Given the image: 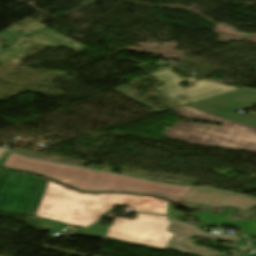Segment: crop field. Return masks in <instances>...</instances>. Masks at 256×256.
<instances>
[{"mask_svg":"<svg viewBox=\"0 0 256 256\" xmlns=\"http://www.w3.org/2000/svg\"><path fill=\"white\" fill-rule=\"evenodd\" d=\"M3 167L31 171L87 192L120 191L163 196L180 202L190 188L156 184L121 176L33 160L11 153Z\"/></svg>","mask_w":256,"mask_h":256,"instance_id":"1","label":"crop field"},{"mask_svg":"<svg viewBox=\"0 0 256 256\" xmlns=\"http://www.w3.org/2000/svg\"><path fill=\"white\" fill-rule=\"evenodd\" d=\"M123 195L76 192L49 180L36 215L43 218V228L52 232L64 228L67 224L86 227L115 205H120Z\"/></svg>","mask_w":256,"mask_h":256,"instance_id":"2","label":"crop field"},{"mask_svg":"<svg viewBox=\"0 0 256 256\" xmlns=\"http://www.w3.org/2000/svg\"><path fill=\"white\" fill-rule=\"evenodd\" d=\"M216 125H186L179 121L173 129H165L164 135L181 141L222 146L233 149H248L256 152V130L229 120Z\"/></svg>","mask_w":256,"mask_h":256,"instance_id":"3","label":"crop field"},{"mask_svg":"<svg viewBox=\"0 0 256 256\" xmlns=\"http://www.w3.org/2000/svg\"><path fill=\"white\" fill-rule=\"evenodd\" d=\"M134 220L116 218L106 234V239L141 245L156 249H165L173 233L166 229L170 221L167 217L137 213Z\"/></svg>","mask_w":256,"mask_h":256,"instance_id":"4","label":"crop field"},{"mask_svg":"<svg viewBox=\"0 0 256 256\" xmlns=\"http://www.w3.org/2000/svg\"><path fill=\"white\" fill-rule=\"evenodd\" d=\"M45 181L27 173L1 169L0 211L35 215L47 186Z\"/></svg>","mask_w":256,"mask_h":256,"instance_id":"5","label":"crop field"},{"mask_svg":"<svg viewBox=\"0 0 256 256\" xmlns=\"http://www.w3.org/2000/svg\"><path fill=\"white\" fill-rule=\"evenodd\" d=\"M243 99L250 100L240 101ZM212 100H215V102ZM254 104H256V91L240 88L189 104V106L256 129V113L250 111L244 116L232 113L237 109L251 107Z\"/></svg>","mask_w":256,"mask_h":256,"instance_id":"6","label":"crop field"},{"mask_svg":"<svg viewBox=\"0 0 256 256\" xmlns=\"http://www.w3.org/2000/svg\"><path fill=\"white\" fill-rule=\"evenodd\" d=\"M168 219L172 221L168 231H172L175 235L172 241L169 242L166 249L207 256V255H213V254H219V253L205 249V248L197 247L191 241L190 239L191 236H197V237L215 239V240L233 241V242H238L239 240V238L236 235L206 234V233H202L198 227L186 225L184 223L178 222L169 217Z\"/></svg>","mask_w":256,"mask_h":256,"instance_id":"7","label":"crop field"},{"mask_svg":"<svg viewBox=\"0 0 256 256\" xmlns=\"http://www.w3.org/2000/svg\"><path fill=\"white\" fill-rule=\"evenodd\" d=\"M182 200L211 207L233 206L241 210L256 206L255 199L197 188H191Z\"/></svg>","mask_w":256,"mask_h":256,"instance_id":"8","label":"crop field"},{"mask_svg":"<svg viewBox=\"0 0 256 256\" xmlns=\"http://www.w3.org/2000/svg\"><path fill=\"white\" fill-rule=\"evenodd\" d=\"M133 210L167 215L168 201L144 195L125 194L122 204Z\"/></svg>","mask_w":256,"mask_h":256,"instance_id":"9","label":"crop field"},{"mask_svg":"<svg viewBox=\"0 0 256 256\" xmlns=\"http://www.w3.org/2000/svg\"><path fill=\"white\" fill-rule=\"evenodd\" d=\"M230 211H223L221 214H210L198 212L195 214L200 220L220 226L221 224L243 228L242 234L256 236V217L250 218L248 221H234L228 219Z\"/></svg>","mask_w":256,"mask_h":256,"instance_id":"10","label":"crop field"},{"mask_svg":"<svg viewBox=\"0 0 256 256\" xmlns=\"http://www.w3.org/2000/svg\"><path fill=\"white\" fill-rule=\"evenodd\" d=\"M31 34H34V35L38 36L41 41H44V42H46V43H48L52 46L59 45V44L63 43V44H65V45H67V46H69V47H71L75 50H79L82 47H84V46H82V45H80V44H78V43H76V42H74V41H72V40H70V39L52 31V30H50V29H48V28H42V29H39L37 31L26 34V35H24V37L22 39L27 40V41H31V42H35V43H40V42H37L35 40H32V39H29V38L25 37V36L31 35Z\"/></svg>","mask_w":256,"mask_h":256,"instance_id":"11","label":"crop field"},{"mask_svg":"<svg viewBox=\"0 0 256 256\" xmlns=\"http://www.w3.org/2000/svg\"><path fill=\"white\" fill-rule=\"evenodd\" d=\"M173 111H175L176 113H178L184 118L205 120L211 123L221 118V117H218L209 113H205L187 106L179 107Z\"/></svg>","mask_w":256,"mask_h":256,"instance_id":"12","label":"crop field"},{"mask_svg":"<svg viewBox=\"0 0 256 256\" xmlns=\"http://www.w3.org/2000/svg\"><path fill=\"white\" fill-rule=\"evenodd\" d=\"M113 90L122 94V95H124V96H126V97H128V98H130V99H132V100H134V101H136V102H138V103H140V104H142V105H144V106H146V107H148V108H150V109H152V110H154L157 113L163 112V111H166V110H170L169 108L159 110V109H157V108H155V107L137 99V97L135 95L129 93L131 91V89H130V86H128L126 84H123V85H121V86H119V87H117Z\"/></svg>","mask_w":256,"mask_h":256,"instance_id":"13","label":"crop field"},{"mask_svg":"<svg viewBox=\"0 0 256 256\" xmlns=\"http://www.w3.org/2000/svg\"><path fill=\"white\" fill-rule=\"evenodd\" d=\"M107 230L108 228L96 223L92 227L88 228V231L83 235L104 239Z\"/></svg>","mask_w":256,"mask_h":256,"instance_id":"14","label":"crop field"},{"mask_svg":"<svg viewBox=\"0 0 256 256\" xmlns=\"http://www.w3.org/2000/svg\"><path fill=\"white\" fill-rule=\"evenodd\" d=\"M23 33L12 29V30H5L0 33V37L4 40L8 41L9 43L6 45V47L11 46Z\"/></svg>","mask_w":256,"mask_h":256,"instance_id":"15","label":"crop field"},{"mask_svg":"<svg viewBox=\"0 0 256 256\" xmlns=\"http://www.w3.org/2000/svg\"><path fill=\"white\" fill-rule=\"evenodd\" d=\"M25 47L21 45H14L9 51H7L4 55L0 57V61H10L15 56H17Z\"/></svg>","mask_w":256,"mask_h":256,"instance_id":"16","label":"crop field"},{"mask_svg":"<svg viewBox=\"0 0 256 256\" xmlns=\"http://www.w3.org/2000/svg\"><path fill=\"white\" fill-rule=\"evenodd\" d=\"M172 207L170 204H169V209H168V215H173V216H179V217H183V213H179V212H176L174 210H172Z\"/></svg>","mask_w":256,"mask_h":256,"instance_id":"17","label":"crop field"},{"mask_svg":"<svg viewBox=\"0 0 256 256\" xmlns=\"http://www.w3.org/2000/svg\"><path fill=\"white\" fill-rule=\"evenodd\" d=\"M9 154H10V152H5V153L3 154V156L0 158V166L3 165L5 159L8 157Z\"/></svg>","mask_w":256,"mask_h":256,"instance_id":"18","label":"crop field"},{"mask_svg":"<svg viewBox=\"0 0 256 256\" xmlns=\"http://www.w3.org/2000/svg\"><path fill=\"white\" fill-rule=\"evenodd\" d=\"M3 51H5V50H4V49H0V54H1Z\"/></svg>","mask_w":256,"mask_h":256,"instance_id":"19","label":"crop field"},{"mask_svg":"<svg viewBox=\"0 0 256 256\" xmlns=\"http://www.w3.org/2000/svg\"><path fill=\"white\" fill-rule=\"evenodd\" d=\"M3 152V150L0 149V154Z\"/></svg>","mask_w":256,"mask_h":256,"instance_id":"20","label":"crop field"}]
</instances>
